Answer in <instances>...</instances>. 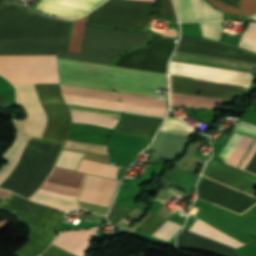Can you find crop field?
Instances as JSON below:
<instances>
[{
    "mask_svg": "<svg viewBox=\"0 0 256 256\" xmlns=\"http://www.w3.org/2000/svg\"><path fill=\"white\" fill-rule=\"evenodd\" d=\"M62 93L72 94V95H79L85 97H92L98 99H105L111 101H118V96L116 93L111 92H104V91H97L79 87H71V86H63L61 85Z\"/></svg>",
    "mask_w": 256,
    "mask_h": 256,
    "instance_id": "obj_24",
    "label": "crop field"
},
{
    "mask_svg": "<svg viewBox=\"0 0 256 256\" xmlns=\"http://www.w3.org/2000/svg\"><path fill=\"white\" fill-rule=\"evenodd\" d=\"M86 17L74 20L68 51L80 53Z\"/></svg>",
    "mask_w": 256,
    "mask_h": 256,
    "instance_id": "obj_25",
    "label": "crop field"
},
{
    "mask_svg": "<svg viewBox=\"0 0 256 256\" xmlns=\"http://www.w3.org/2000/svg\"><path fill=\"white\" fill-rule=\"evenodd\" d=\"M183 123L174 118H167L161 131L188 136L194 129Z\"/></svg>",
    "mask_w": 256,
    "mask_h": 256,
    "instance_id": "obj_27",
    "label": "crop field"
},
{
    "mask_svg": "<svg viewBox=\"0 0 256 256\" xmlns=\"http://www.w3.org/2000/svg\"><path fill=\"white\" fill-rule=\"evenodd\" d=\"M255 150H256V140L253 146L251 147V149L249 150V152L247 153V155L245 156V158L243 159V161L241 162V164L239 165V168L244 170L245 166L247 165L248 161L250 160Z\"/></svg>",
    "mask_w": 256,
    "mask_h": 256,
    "instance_id": "obj_37",
    "label": "crop field"
},
{
    "mask_svg": "<svg viewBox=\"0 0 256 256\" xmlns=\"http://www.w3.org/2000/svg\"><path fill=\"white\" fill-rule=\"evenodd\" d=\"M117 182L88 174L78 200L109 207Z\"/></svg>",
    "mask_w": 256,
    "mask_h": 256,
    "instance_id": "obj_13",
    "label": "crop field"
},
{
    "mask_svg": "<svg viewBox=\"0 0 256 256\" xmlns=\"http://www.w3.org/2000/svg\"><path fill=\"white\" fill-rule=\"evenodd\" d=\"M60 84L166 99V74L57 58ZM112 91V90H110Z\"/></svg>",
    "mask_w": 256,
    "mask_h": 256,
    "instance_id": "obj_3",
    "label": "crop field"
},
{
    "mask_svg": "<svg viewBox=\"0 0 256 256\" xmlns=\"http://www.w3.org/2000/svg\"><path fill=\"white\" fill-rule=\"evenodd\" d=\"M12 58H56V56H0ZM0 75L11 83H59L56 59L0 60Z\"/></svg>",
    "mask_w": 256,
    "mask_h": 256,
    "instance_id": "obj_8",
    "label": "crop field"
},
{
    "mask_svg": "<svg viewBox=\"0 0 256 256\" xmlns=\"http://www.w3.org/2000/svg\"><path fill=\"white\" fill-rule=\"evenodd\" d=\"M77 170L117 179L119 168L83 159Z\"/></svg>",
    "mask_w": 256,
    "mask_h": 256,
    "instance_id": "obj_23",
    "label": "crop field"
},
{
    "mask_svg": "<svg viewBox=\"0 0 256 256\" xmlns=\"http://www.w3.org/2000/svg\"><path fill=\"white\" fill-rule=\"evenodd\" d=\"M166 220L152 214L139 228L138 230L143 231L152 235L159 227H161Z\"/></svg>",
    "mask_w": 256,
    "mask_h": 256,
    "instance_id": "obj_30",
    "label": "crop field"
},
{
    "mask_svg": "<svg viewBox=\"0 0 256 256\" xmlns=\"http://www.w3.org/2000/svg\"><path fill=\"white\" fill-rule=\"evenodd\" d=\"M241 13L250 17L256 13V0H240Z\"/></svg>",
    "mask_w": 256,
    "mask_h": 256,
    "instance_id": "obj_33",
    "label": "crop field"
},
{
    "mask_svg": "<svg viewBox=\"0 0 256 256\" xmlns=\"http://www.w3.org/2000/svg\"><path fill=\"white\" fill-rule=\"evenodd\" d=\"M155 13H156V15H159V16L177 19L171 0H159V3H158Z\"/></svg>",
    "mask_w": 256,
    "mask_h": 256,
    "instance_id": "obj_31",
    "label": "crop field"
},
{
    "mask_svg": "<svg viewBox=\"0 0 256 256\" xmlns=\"http://www.w3.org/2000/svg\"><path fill=\"white\" fill-rule=\"evenodd\" d=\"M150 35L86 26L81 54L57 51V57L112 65L120 54L147 43Z\"/></svg>",
    "mask_w": 256,
    "mask_h": 256,
    "instance_id": "obj_6",
    "label": "crop field"
},
{
    "mask_svg": "<svg viewBox=\"0 0 256 256\" xmlns=\"http://www.w3.org/2000/svg\"><path fill=\"white\" fill-rule=\"evenodd\" d=\"M212 4H214L215 6H217L219 9L221 10H225V11H229V12H232V13H235V14H239L240 15V10L239 9H236V8H233L231 6H228V5H225V4H222V3H219L217 1H214V0H209ZM228 12V13H229Z\"/></svg>",
    "mask_w": 256,
    "mask_h": 256,
    "instance_id": "obj_36",
    "label": "crop field"
},
{
    "mask_svg": "<svg viewBox=\"0 0 256 256\" xmlns=\"http://www.w3.org/2000/svg\"><path fill=\"white\" fill-rule=\"evenodd\" d=\"M9 194H10V192L0 189V198L4 199Z\"/></svg>",
    "mask_w": 256,
    "mask_h": 256,
    "instance_id": "obj_39",
    "label": "crop field"
},
{
    "mask_svg": "<svg viewBox=\"0 0 256 256\" xmlns=\"http://www.w3.org/2000/svg\"><path fill=\"white\" fill-rule=\"evenodd\" d=\"M40 256H76V255L51 244L50 248Z\"/></svg>",
    "mask_w": 256,
    "mask_h": 256,
    "instance_id": "obj_34",
    "label": "crop field"
},
{
    "mask_svg": "<svg viewBox=\"0 0 256 256\" xmlns=\"http://www.w3.org/2000/svg\"><path fill=\"white\" fill-rule=\"evenodd\" d=\"M170 73L247 85H250L253 80V75L250 73L222 70L177 62H171ZM173 74H170L171 91L175 92L232 100L241 93L247 91L250 87L247 85ZM175 92H171V106L189 105V107L214 109L216 103L228 102L227 100L194 96Z\"/></svg>",
    "mask_w": 256,
    "mask_h": 256,
    "instance_id": "obj_1",
    "label": "crop field"
},
{
    "mask_svg": "<svg viewBox=\"0 0 256 256\" xmlns=\"http://www.w3.org/2000/svg\"><path fill=\"white\" fill-rule=\"evenodd\" d=\"M194 224L216 234L217 236L241 247V246H244L242 243L238 242L237 240H235L234 238L230 237L229 235H227L226 233H224L223 231L219 230L218 228H216L215 226H213L212 224L208 223L207 221H205L204 219L200 218L199 216H196L195 219L193 220ZM190 225V227L188 228V231H191V232H194L196 234H199V235H202V236H205V237H208L210 239H213V240H216V241H219V242H222L224 244H227V245H230V246H233L235 248H238L237 246L211 234L210 232L192 224Z\"/></svg>",
    "mask_w": 256,
    "mask_h": 256,
    "instance_id": "obj_22",
    "label": "crop field"
},
{
    "mask_svg": "<svg viewBox=\"0 0 256 256\" xmlns=\"http://www.w3.org/2000/svg\"><path fill=\"white\" fill-rule=\"evenodd\" d=\"M85 175L84 173L54 167L52 173L38 191L76 199ZM39 192H36L30 199L62 210L78 208L74 199Z\"/></svg>",
    "mask_w": 256,
    "mask_h": 256,
    "instance_id": "obj_9",
    "label": "crop field"
},
{
    "mask_svg": "<svg viewBox=\"0 0 256 256\" xmlns=\"http://www.w3.org/2000/svg\"><path fill=\"white\" fill-rule=\"evenodd\" d=\"M172 60L252 72L256 64L176 51Z\"/></svg>",
    "mask_w": 256,
    "mask_h": 256,
    "instance_id": "obj_16",
    "label": "crop field"
},
{
    "mask_svg": "<svg viewBox=\"0 0 256 256\" xmlns=\"http://www.w3.org/2000/svg\"><path fill=\"white\" fill-rule=\"evenodd\" d=\"M97 229L98 227L83 231H64L53 244L78 256H84Z\"/></svg>",
    "mask_w": 256,
    "mask_h": 256,
    "instance_id": "obj_17",
    "label": "crop field"
},
{
    "mask_svg": "<svg viewBox=\"0 0 256 256\" xmlns=\"http://www.w3.org/2000/svg\"><path fill=\"white\" fill-rule=\"evenodd\" d=\"M181 228V226L167 221L160 229H158L153 236L169 241L175 233Z\"/></svg>",
    "mask_w": 256,
    "mask_h": 256,
    "instance_id": "obj_29",
    "label": "crop field"
},
{
    "mask_svg": "<svg viewBox=\"0 0 256 256\" xmlns=\"http://www.w3.org/2000/svg\"><path fill=\"white\" fill-rule=\"evenodd\" d=\"M118 95H119L120 101L124 103H131V104L166 109V102L162 100L141 98V97H135V96L121 95V94H118Z\"/></svg>",
    "mask_w": 256,
    "mask_h": 256,
    "instance_id": "obj_28",
    "label": "crop field"
},
{
    "mask_svg": "<svg viewBox=\"0 0 256 256\" xmlns=\"http://www.w3.org/2000/svg\"><path fill=\"white\" fill-rule=\"evenodd\" d=\"M63 96L66 103L95 107V108L125 111V112H132V113H139V114H146V115H153V116H160V117H164L165 111H166L163 109L130 105V104H124V103H116V102L78 97V96H72V95H66V94H63Z\"/></svg>",
    "mask_w": 256,
    "mask_h": 256,
    "instance_id": "obj_15",
    "label": "crop field"
},
{
    "mask_svg": "<svg viewBox=\"0 0 256 256\" xmlns=\"http://www.w3.org/2000/svg\"><path fill=\"white\" fill-rule=\"evenodd\" d=\"M0 209L18 217V220L54 232L64 217L53 208L30 202L14 193L0 204Z\"/></svg>",
    "mask_w": 256,
    "mask_h": 256,
    "instance_id": "obj_10",
    "label": "crop field"
},
{
    "mask_svg": "<svg viewBox=\"0 0 256 256\" xmlns=\"http://www.w3.org/2000/svg\"><path fill=\"white\" fill-rule=\"evenodd\" d=\"M72 113V122H85L113 128L121 117V113L105 110L84 108L68 105ZM64 148L107 154V148L103 145L67 141Z\"/></svg>",
    "mask_w": 256,
    "mask_h": 256,
    "instance_id": "obj_11",
    "label": "crop field"
},
{
    "mask_svg": "<svg viewBox=\"0 0 256 256\" xmlns=\"http://www.w3.org/2000/svg\"><path fill=\"white\" fill-rule=\"evenodd\" d=\"M83 11H91L100 6L106 0H50ZM47 0H41L36 6V9L63 19H77L83 17L87 12L53 3Z\"/></svg>",
    "mask_w": 256,
    "mask_h": 256,
    "instance_id": "obj_12",
    "label": "crop field"
},
{
    "mask_svg": "<svg viewBox=\"0 0 256 256\" xmlns=\"http://www.w3.org/2000/svg\"><path fill=\"white\" fill-rule=\"evenodd\" d=\"M161 121L136 117H124L117 132L152 138Z\"/></svg>",
    "mask_w": 256,
    "mask_h": 256,
    "instance_id": "obj_18",
    "label": "crop field"
},
{
    "mask_svg": "<svg viewBox=\"0 0 256 256\" xmlns=\"http://www.w3.org/2000/svg\"><path fill=\"white\" fill-rule=\"evenodd\" d=\"M132 210H133L132 208L114 204L110 211V214H109L111 223L114 225L117 224L121 219H123Z\"/></svg>",
    "mask_w": 256,
    "mask_h": 256,
    "instance_id": "obj_32",
    "label": "crop field"
},
{
    "mask_svg": "<svg viewBox=\"0 0 256 256\" xmlns=\"http://www.w3.org/2000/svg\"><path fill=\"white\" fill-rule=\"evenodd\" d=\"M256 20V15L251 17ZM203 36L219 39L222 29L218 22L200 23ZM240 46L256 51V22L249 23L248 28L242 35Z\"/></svg>",
    "mask_w": 256,
    "mask_h": 256,
    "instance_id": "obj_20",
    "label": "crop field"
},
{
    "mask_svg": "<svg viewBox=\"0 0 256 256\" xmlns=\"http://www.w3.org/2000/svg\"><path fill=\"white\" fill-rule=\"evenodd\" d=\"M237 130L246 132V133L256 137V126H253V125H250V124L240 121V123L237 127Z\"/></svg>",
    "mask_w": 256,
    "mask_h": 256,
    "instance_id": "obj_35",
    "label": "crop field"
},
{
    "mask_svg": "<svg viewBox=\"0 0 256 256\" xmlns=\"http://www.w3.org/2000/svg\"><path fill=\"white\" fill-rule=\"evenodd\" d=\"M180 21H223L222 13L204 0H174Z\"/></svg>",
    "mask_w": 256,
    "mask_h": 256,
    "instance_id": "obj_14",
    "label": "crop field"
},
{
    "mask_svg": "<svg viewBox=\"0 0 256 256\" xmlns=\"http://www.w3.org/2000/svg\"><path fill=\"white\" fill-rule=\"evenodd\" d=\"M18 105L25 108L28 118L16 121L18 133L64 143L71 124V115L59 84L15 85Z\"/></svg>",
    "mask_w": 256,
    "mask_h": 256,
    "instance_id": "obj_5",
    "label": "crop field"
},
{
    "mask_svg": "<svg viewBox=\"0 0 256 256\" xmlns=\"http://www.w3.org/2000/svg\"><path fill=\"white\" fill-rule=\"evenodd\" d=\"M217 1H220V2H223L225 4H228V5L234 6L236 8H239L238 2L234 1V0H217Z\"/></svg>",
    "mask_w": 256,
    "mask_h": 256,
    "instance_id": "obj_38",
    "label": "crop field"
},
{
    "mask_svg": "<svg viewBox=\"0 0 256 256\" xmlns=\"http://www.w3.org/2000/svg\"><path fill=\"white\" fill-rule=\"evenodd\" d=\"M54 236V232L37 228L33 237L15 255L38 256L48 247Z\"/></svg>",
    "mask_w": 256,
    "mask_h": 256,
    "instance_id": "obj_21",
    "label": "crop field"
},
{
    "mask_svg": "<svg viewBox=\"0 0 256 256\" xmlns=\"http://www.w3.org/2000/svg\"><path fill=\"white\" fill-rule=\"evenodd\" d=\"M251 141L250 137L233 133L219 156L225 163L237 167Z\"/></svg>",
    "mask_w": 256,
    "mask_h": 256,
    "instance_id": "obj_19",
    "label": "crop field"
},
{
    "mask_svg": "<svg viewBox=\"0 0 256 256\" xmlns=\"http://www.w3.org/2000/svg\"><path fill=\"white\" fill-rule=\"evenodd\" d=\"M73 21L48 18L21 4L0 6V50L67 51Z\"/></svg>",
    "mask_w": 256,
    "mask_h": 256,
    "instance_id": "obj_2",
    "label": "crop field"
},
{
    "mask_svg": "<svg viewBox=\"0 0 256 256\" xmlns=\"http://www.w3.org/2000/svg\"><path fill=\"white\" fill-rule=\"evenodd\" d=\"M83 156L82 153L62 150L55 166L76 170Z\"/></svg>",
    "mask_w": 256,
    "mask_h": 256,
    "instance_id": "obj_26",
    "label": "crop field"
},
{
    "mask_svg": "<svg viewBox=\"0 0 256 256\" xmlns=\"http://www.w3.org/2000/svg\"><path fill=\"white\" fill-rule=\"evenodd\" d=\"M138 1L154 2V0ZM138 1L109 0L89 14L87 23L144 30L151 17L154 3Z\"/></svg>",
    "mask_w": 256,
    "mask_h": 256,
    "instance_id": "obj_7",
    "label": "crop field"
},
{
    "mask_svg": "<svg viewBox=\"0 0 256 256\" xmlns=\"http://www.w3.org/2000/svg\"><path fill=\"white\" fill-rule=\"evenodd\" d=\"M32 140L17 134L15 143L1 157L9 162L0 169V178L17 163ZM62 145L34 138L18 163L0 179V187L28 198L48 176Z\"/></svg>",
    "mask_w": 256,
    "mask_h": 256,
    "instance_id": "obj_4",
    "label": "crop field"
}]
</instances>
